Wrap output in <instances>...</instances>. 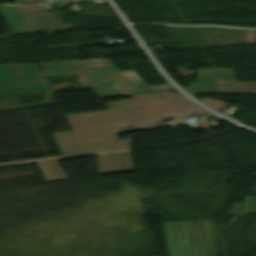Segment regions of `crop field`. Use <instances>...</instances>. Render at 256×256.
<instances>
[{
  "instance_id": "34b2d1b8",
  "label": "crop field",
  "mask_w": 256,
  "mask_h": 256,
  "mask_svg": "<svg viewBox=\"0 0 256 256\" xmlns=\"http://www.w3.org/2000/svg\"><path fill=\"white\" fill-rule=\"evenodd\" d=\"M126 125L132 127L126 128ZM163 125L158 121H149L136 124L115 125L108 127L73 130L84 153L93 151L127 148V140L118 141L117 131L152 128Z\"/></svg>"
},
{
  "instance_id": "5142ce71",
  "label": "crop field",
  "mask_w": 256,
  "mask_h": 256,
  "mask_svg": "<svg viewBox=\"0 0 256 256\" xmlns=\"http://www.w3.org/2000/svg\"><path fill=\"white\" fill-rule=\"evenodd\" d=\"M31 162H34V161H30V162H22V163H31ZM22 163H13V164H22ZM13 164H3V165H0V166H4V165H13Z\"/></svg>"
},
{
  "instance_id": "d8731c3e",
  "label": "crop field",
  "mask_w": 256,
  "mask_h": 256,
  "mask_svg": "<svg viewBox=\"0 0 256 256\" xmlns=\"http://www.w3.org/2000/svg\"><path fill=\"white\" fill-rule=\"evenodd\" d=\"M130 109L158 121H161L168 117H171L173 119H176V118L185 119V118L193 117L191 115H201V114L208 115L211 118L215 117V115L201 109L196 104H194L193 102L185 98L181 100H176V101L130 107ZM195 113H198V114H195Z\"/></svg>"
},
{
  "instance_id": "d1516ede",
  "label": "crop field",
  "mask_w": 256,
  "mask_h": 256,
  "mask_svg": "<svg viewBox=\"0 0 256 256\" xmlns=\"http://www.w3.org/2000/svg\"><path fill=\"white\" fill-rule=\"evenodd\" d=\"M81 156H84V155H81ZM81 156H74V157H81ZM74 157H67V158H74ZM67 158H60V159H67ZM60 159H47V160L37 161L47 181L66 178L65 174L63 173V171L61 170L60 166L56 161Z\"/></svg>"
},
{
  "instance_id": "412701ff",
  "label": "crop field",
  "mask_w": 256,
  "mask_h": 256,
  "mask_svg": "<svg viewBox=\"0 0 256 256\" xmlns=\"http://www.w3.org/2000/svg\"><path fill=\"white\" fill-rule=\"evenodd\" d=\"M197 73L198 83L184 89L190 94L256 93V82L237 83L230 68L199 69Z\"/></svg>"
},
{
  "instance_id": "ac0d7876",
  "label": "crop field",
  "mask_w": 256,
  "mask_h": 256,
  "mask_svg": "<svg viewBox=\"0 0 256 256\" xmlns=\"http://www.w3.org/2000/svg\"><path fill=\"white\" fill-rule=\"evenodd\" d=\"M169 256H214L216 223L162 222Z\"/></svg>"
},
{
  "instance_id": "3316defc",
  "label": "crop field",
  "mask_w": 256,
  "mask_h": 256,
  "mask_svg": "<svg viewBox=\"0 0 256 256\" xmlns=\"http://www.w3.org/2000/svg\"><path fill=\"white\" fill-rule=\"evenodd\" d=\"M133 99L115 101L105 103L108 109H114L118 107H129L135 105L156 103L162 101L176 100L183 98V95L176 93L174 91L153 93V94H144V95H135L132 96Z\"/></svg>"
},
{
  "instance_id": "22f410ed",
  "label": "crop field",
  "mask_w": 256,
  "mask_h": 256,
  "mask_svg": "<svg viewBox=\"0 0 256 256\" xmlns=\"http://www.w3.org/2000/svg\"><path fill=\"white\" fill-rule=\"evenodd\" d=\"M199 101H201L202 103H204L205 105L217 110V111H220L228 106H230L229 104L225 103V102H222L220 100H217V101H214L212 99H209V98H201L199 99Z\"/></svg>"
},
{
  "instance_id": "dd49c442",
  "label": "crop field",
  "mask_w": 256,
  "mask_h": 256,
  "mask_svg": "<svg viewBox=\"0 0 256 256\" xmlns=\"http://www.w3.org/2000/svg\"><path fill=\"white\" fill-rule=\"evenodd\" d=\"M0 11L13 32L61 29L44 7L0 6Z\"/></svg>"
},
{
  "instance_id": "28ad6ade",
  "label": "crop field",
  "mask_w": 256,
  "mask_h": 256,
  "mask_svg": "<svg viewBox=\"0 0 256 256\" xmlns=\"http://www.w3.org/2000/svg\"><path fill=\"white\" fill-rule=\"evenodd\" d=\"M52 134L63 155L83 153L72 130Z\"/></svg>"
},
{
  "instance_id": "5a996713",
  "label": "crop field",
  "mask_w": 256,
  "mask_h": 256,
  "mask_svg": "<svg viewBox=\"0 0 256 256\" xmlns=\"http://www.w3.org/2000/svg\"><path fill=\"white\" fill-rule=\"evenodd\" d=\"M99 174L133 171L130 150L97 154Z\"/></svg>"
},
{
  "instance_id": "f4fd0767",
  "label": "crop field",
  "mask_w": 256,
  "mask_h": 256,
  "mask_svg": "<svg viewBox=\"0 0 256 256\" xmlns=\"http://www.w3.org/2000/svg\"><path fill=\"white\" fill-rule=\"evenodd\" d=\"M90 89L101 99L174 90L168 84L157 86L145 85L134 71L120 73L90 87ZM102 93H106V95H102Z\"/></svg>"
},
{
  "instance_id": "8a807250",
  "label": "crop field",
  "mask_w": 256,
  "mask_h": 256,
  "mask_svg": "<svg viewBox=\"0 0 256 256\" xmlns=\"http://www.w3.org/2000/svg\"><path fill=\"white\" fill-rule=\"evenodd\" d=\"M38 64L42 74L38 72L37 64L1 65L0 96L49 91L51 89L45 77L74 75L79 78L82 86H87L118 71L109 59Z\"/></svg>"
},
{
  "instance_id": "cbeb9de0",
  "label": "crop field",
  "mask_w": 256,
  "mask_h": 256,
  "mask_svg": "<svg viewBox=\"0 0 256 256\" xmlns=\"http://www.w3.org/2000/svg\"><path fill=\"white\" fill-rule=\"evenodd\" d=\"M45 0H17V4H39Z\"/></svg>"
},
{
  "instance_id": "e52e79f7",
  "label": "crop field",
  "mask_w": 256,
  "mask_h": 256,
  "mask_svg": "<svg viewBox=\"0 0 256 256\" xmlns=\"http://www.w3.org/2000/svg\"><path fill=\"white\" fill-rule=\"evenodd\" d=\"M72 129L153 120L127 108L66 115Z\"/></svg>"
}]
</instances>
